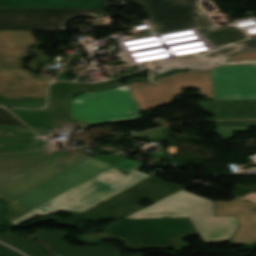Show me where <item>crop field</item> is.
<instances>
[{
    "label": "crop field",
    "mask_w": 256,
    "mask_h": 256,
    "mask_svg": "<svg viewBox=\"0 0 256 256\" xmlns=\"http://www.w3.org/2000/svg\"><path fill=\"white\" fill-rule=\"evenodd\" d=\"M241 51L242 48L236 44L202 57L169 62V70L204 69L162 77L154 84L134 82L128 85V90L140 111L172 101L173 97L181 94L182 87H199L201 94L215 100L256 99V62L219 63L221 59ZM166 71L152 74L151 77Z\"/></svg>",
    "instance_id": "crop-field-1"
},
{
    "label": "crop field",
    "mask_w": 256,
    "mask_h": 256,
    "mask_svg": "<svg viewBox=\"0 0 256 256\" xmlns=\"http://www.w3.org/2000/svg\"><path fill=\"white\" fill-rule=\"evenodd\" d=\"M90 157L60 148L0 154V195L18 197Z\"/></svg>",
    "instance_id": "crop-field-2"
},
{
    "label": "crop field",
    "mask_w": 256,
    "mask_h": 256,
    "mask_svg": "<svg viewBox=\"0 0 256 256\" xmlns=\"http://www.w3.org/2000/svg\"><path fill=\"white\" fill-rule=\"evenodd\" d=\"M141 165L143 164L126 158L9 223L18 225L35 215L51 214L58 210L77 211L81 213L150 177L135 170ZM115 167H119L129 174L124 176Z\"/></svg>",
    "instance_id": "crop-field-3"
},
{
    "label": "crop field",
    "mask_w": 256,
    "mask_h": 256,
    "mask_svg": "<svg viewBox=\"0 0 256 256\" xmlns=\"http://www.w3.org/2000/svg\"><path fill=\"white\" fill-rule=\"evenodd\" d=\"M189 217L203 244L230 240L239 227L236 216L214 217L213 202L184 190L124 219Z\"/></svg>",
    "instance_id": "crop-field-4"
},
{
    "label": "crop field",
    "mask_w": 256,
    "mask_h": 256,
    "mask_svg": "<svg viewBox=\"0 0 256 256\" xmlns=\"http://www.w3.org/2000/svg\"><path fill=\"white\" fill-rule=\"evenodd\" d=\"M34 44L36 41L30 31H0L1 97H46L50 78L37 76L35 79L22 67V59Z\"/></svg>",
    "instance_id": "crop-field-5"
},
{
    "label": "crop field",
    "mask_w": 256,
    "mask_h": 256,
    "mask_svg": "<svg viewBox=\"0 0 256 256\" xmlns=\"http://www.w3.org/2000/svg\"><path fill=\"white\" fill-rule=\"evenodd\" d=\"M106 228L131 248L182 246L178 238L196 233L189 218L119 220Z\"/></svg>",
    "instance_id": "crop-field-6"
},
{
    "label": "crop field",
    "mask_w": 256,
    "mask_h": 256,
    "mask_svg": "<svg viewBox=\"0 0 256 256\" xmlns=\"http://www.w3.org/2000/svg\"><path fill=\"white\" fill-rule=\"evenodd\" d=\"M71 117L96 125L130 120L140 115L128 90L110 89L72 99Z\"/></svg>",
    "instance_id": "crop-field-7"
},
{
    "label": "crop field",
    "mask_w": 256,
    "mask_h": 256,
    "mask_svg": "<svg viewBox=\"0 0 256 256\" xmlns=\"http://www.w3.org/2000/svg\"><path fill=\"white\" fill-rule=\"evenodd\" d=\"M183 188L173 184L165 183L152 176L125 191L113 196L101 204L83 212L72 220L81 216L89 220L105 218H123L141 208L138 201L147 198L153 202L175 193Z\"/></svg>",
    "instance_id": "crop-field-8"
},
{
    "label": "crop field",
    "mask_w": 256,
    "mask_h": 256,
    "mask_svg": "<svg viewBox=\"0 0 256 256\" xmlns=\"http://www.w3.org/2000/svg\"><path fill=\"white\" fill-rule=\"evenodd\" d=\"M108 167V165L89 159L42 186L16 198L14 201H10L11 203L7 204L10 210V220L54 198Z\"/></svg>",
    "instance_id": "crop-field-9"
},
{
    "label": "crop field",
    "mask_w": 256,
    "mask_h": 256,
    "mask_svg": "<svg viewBox=\"0 0 256 256\" xmlns=\"http://www.w3.org/2000/svg\"><path fill=\"white\" fill-rule=\"evenodd\" d=\"M146 9L154 33L207 25L198 0H129Z\"/></svg>",
    "instance_id": "crop-field-10"
},
{
    "label": "crop field",
    "mask_w": 256,
    "mask_h": 256,
    "mask_svg": "<svg viewBox=\"0 0 256 256\" xmlns=\"http://www.w3.org/2000/svg\"><path fill=\"white\" fill-rule=\"evenodd\" d=\"M101 9H3L0 30H64L75 16H99Z\"/></svg>",
    "instance_id": "crop-field-11"
},
{
    "label": "crop field",
    "mask_w": 256,
    "mask_h": 256,
    "mask_svg": "<svg viewBox=\"0 0 256 256\" xmlns=\"http://www.w3.org/2000/svg\"><path fill=\"white\" fill-rule=\"evenodd\" d=\"M215 216L237 215L240 227L229 245L256 243V205L236 198L232 202H214Z\"/></svg>",
    "instance_id": "crop-field-12"
},
{
    "label": "crop field",
    "mask_w": 256,
    "mask_h": 256,
    "mask_svg": "<svg viewBox=\"0 0 256 256\" xmlns=\"http://www.w3.org/2000/svg\"><path fill=\"white\" fill-rule=\"evenodd\" d=\"M30 127L42 129L71 128L70 99H49L46 110H15L11 109Z\"/></svg>",
    "instance_id": "crop-field-13"
},
{
    "label": "crop field",
    "mask_w": 256,
    "mask_h": 256,
    "mask_svg": "<svg viewBox=\"0 0 256 256\" xmlns=\"http://www.w3.org/2000/svg\"><path fill=\"white\" fill-rule=\"evenodd\" d=\"M40 230V229H39ZM38 231V230H37ZM69 233L58 230H40L36 232L37 238L49 247L56 254L67 256H120L117 249L105 245L91 247H72L65 243L64 239Z\"/></svg>",
    "instance_id": "crop-field-14"
},
{
    "label": "crop field",
    "mask_w": 256,
    "mask_h": 256,
    "mask_svg": "<svg viewBox=\"0 0 256 256\" xmlns=\"http://www.w3.org/2000/svg\"><path fill=\"white\" fill-rule=\"evenodd\" d=\"M50 147L54 146L37 138L29 128L0 125V153Z\"/></svg>",
    "instance_id": "crop-field-15"
},
{
    "label": "crop field",
    "mask_w": 256,
    "mask_h": 256,
    "mask_svg": "<svg viewBox=\"0 0 256 256\" xmlns=\"http://www.w3.org/2000/svg\"><path fill=\"white\" fill-rule=\"evenodd\" d=\"M214 119L256 118V100L250 101H197Z\"/></svg>",
    "instance_id": "crop-field-16"
},
{
    "label": "crop field",
    "mask_w": 256,
    "mask_h": 256,
    "mask_svg": "<svg viewBox=\"0 0 256 256\" xmlns=\"http://www.w3.org/2000/svg\"><path fill=\"white\" fill-rule=\"evenodd\" d=\"M105 0H0L4 8H103Z\"/></svg>",
    "instance_id": "crop-field-17"
},
{
    "label": "crop field",
    "mask_w": 256,
    "mask_h": 256,
    "mask_svg": "<svg viewBox=\"0 0 256 256\" xmlns=\"http://www.w3.org/2000/svg\"><path fill=\"white\" fill-rule=\"evenodd\" d=\"M199 30L203 33L204 38H207L214 46L245 39L241 31L230 27L218 29L207 27Z\"/></svg>",
    "instance_id": "crop-field-18"
},
{
    "label": "crop field",
    "mask_w": 256,
    "mask_h": 256,
    "mask_svg": "<svg viewBox=\"0 0 256 256\" xmlns=\"http://www.w3.org/2000/svg\"><path fill=\"white\" fill-rule=\"evenodd\" d=\"M0 240L22 250L29 256H50L48 251L41 244L30 239L18 236H9L0 232Z\"/></svg>",
    "instance_id": "crop-field-19"
},
{
    "label": "crop field",
    "mask_w": 256,
    "mask_h": 256,
    "mask_svg": "<svg viewBox=\"0 0 256 256\" xmlns=\"http://www.w3.org/2000/svg\"><path fill=\"white\" fill-rule=\"evenodd\" d=\"M218 133L222 139H232L234 131L248 130L249 126H256V120H242V121H216Z\"/></svg>",
    "instance_id": "crop-field-20"
},
{
    "label": "crop field",
    "mask_w": 256,
    "mask_h": 256,
    "mask_svg": "<svg viewBox=\"0 0 256 256\" xmlns=\"http://www.w3.org/2000/svg\"><path fill=\"white\" fill-rule=\"evenodd\" d=\"M0 105L5 107H17V108H41L45 106V99L36 100H15L8 102L5 99H0Z\"/></svg>",
    "instance_id": "crop-field-21"
},
{
    "label": "crop field",
    "mask_w": 256,
    "mask_h": 256,
    "mask_svg": "<svg viewBox=\"0 0 256 256\" xmlns=\"http://www.w3.org/2000/svg\"><path fill=\"white\" fill-rule=\"evenodd\" d=\"M194 236V235H192ZM192 236H188V237H184V238H190ZM103 239H116V238H111L107 232L104 233H97V234H90V235H80L79 240L81 241H85V242H92L93 240H103ZM183 239V238H180ZM122 240V239H121ZM181 241V240H180ZM182 242V241H181ZM124 245L129 248L124 240H123ZM183 247H170V249H172L173 251H175L176 253L189 247L187 244H185L184 242H182ZM130 249V248H129ZM144 249H156V248H144ZM130 250H142V249H130Z\"/></svg>",
    "instance_id": "crop-field-22"
},
{
    "label": "crop field",
    "mask_w": 256,
    "mask_h": 256,
    "mask_svg": "<svg viewBox=\"0 0 256 256\" xmlns=\"http://www.w3.org/2000/svg\"><path fill=\"white\" fill-rule=\"evenodd\" d=\"M115 85H119V83L114 80L108 81L105 83H101V84H93V85L71 83V92H81V91H83V89H86L87 91H92V90H96V89L112 87Z\"/></svg>",
    "instance_id": "crop-field-23"
},
{
    "label": "crop field",
    "mask_w": 256,
    "mask_h": 256,
    "mask_svg": "<svg viewBox=\"0 0 256 256\" xmlns=\"http://www.w3.org/2000/svg\"><path fill=\"white\" fill-rule=\"evenodd\" d=\"M69 93H70L69 83H56L50 86V91H49L50 97H58L59 95H66Z\"/></svg>",
    "instance_id": "crop-field-24"
},
{
    "label": "crop field",
    "mask_w": 256,
    "mask_h": 256,
    "mask_svg": "<svg viewBox=\"0 0 256 256\" xmlns=\"http://www.w3.org/2000/svg\"><path fill=\"white\" fill-rule=\"evenodd\" d=\"M0 124L24 126L19 120H17L13 115L0 107Z\"/></svg>",
    "instance_id": "crop-field-25"
},
{
    "label": "crop field",
    "mask_w": 256,
    "mask_h": 256,
    "mask_svg": "<svg viewBox=\"0 0 256 256\" xmlns=\"http://www.w3.org/2000/svg\"><path fill=\"white\" fill-rule=\"evenodd\" d=\"M226 59H239V60L247 59L249 61H256V50L241 52L239 54L233 55Z\"/></svg>",
    "instance_id": "crop-field-26"
},
{
    "label": "crop field",
    "mask_w": 256,
    "mask_h": 256,
    "mask_svg": "<svg viewBox=\"0 0 256 256\" xmlns=\"http://www.w3.org/2000/svg\"><path fill=\"white\" fill-rule=\"evenodd\" d=\"M169 130H171V128L169 126H166V127H163V128H159L157 130H153V131L138 134L134 137H136L137 139H141L143 137H148V136L155 135V134L162 133V132H166V131H169Z\"/></svg>",
    "instance_id": "crop-field-27"
},
{
    "label": "crop field",
    "mask_w": 256,
    "mask_h": 256,
    "mask_svg": "<svg viewBox=\"0 0 256 256\" xmlns=\"http://www.w3.org/2000/svg\"><path fill=\"white\" fill-rule=\"evenodd\" d=\"M239 46L245 49H256V40H248L245 42L239 43Z\"/></svg>",
    "instance_id": "crop-field-28"
},
{
    "label": "crop field",
    "mask_w": 256,
    "mask_h": 256,
    "mask_svg": "<svg viewBox=\"0 0 256 256\" xmlns=\"http://www.w3.org/2000/svg\"><path fill=\"white\" fill-rule=\"evenodd\" d=\"M243 198L256 203V194H249V195H247V196H245Z\"/></svg>",
    "instance_id": "crop-field-29"
},
{
    "label": "crop field",
    "mask_w": 256,
    "mask_h": 256,
    "mask_svg": "<svg viewBox=\"0 0 256 256\" xmlns=\"http://www.w3.org/2000/svg\"><path fill=\"white\" fill-rule=\"evenodd\" d=\"M0 256H22V255L18 253L0 252Z\"/></svg>",
    "instance_id": "crop-field-30"
},
{
    "label": "crop field",
    "mask_w": 256,
    "mask_h": 256,
    "mask_svg": "<svg viewBox=\"0 0 256 256\" xmlns=\"http://www.w3.org/2000/svg\"><path fill=\"white\" fill-rule=\"evenodd\" d=\"M0 251H10V252H15V251H13V250H11V249H8V248H6V247H3V246H1V245H0Z\"/></svg>",
    "instance_id": "crop-field-31"
},
{
    "label": "crop field",
    "mask_w": 256,
    "mask_h": 256,
    "mask_svg": "<svg viewBox=\"0 0 256 256\" xmlns=\"http://www.w3.org/2000/svg\"><path fill=\"white\" fill-rule=\"evenodd\" d=\"M221 62H239V61H227V60H221Z\"/></svg>",
    "instance_id": "crop-field-32"
},
{
    "label": "crop field",
    "mask_w": 256,
    "mask_h": 256,
    "mask_svg": "<svg viewBox=\"0 0 256 256\" xmlns=\"http://www.w3.org/2000/svg\"><path fill=\"white\" fill-rule=\"evenodd\" d=\"M207 26H209V25H207ZM207 26H202V27H207ZM197 28H200V27H197Z\"/></svg>",
    "instance_id": "crop-field-33"
},
{
    "label": "crop field",
    "mask_w": 256,
    "mask_h": 256,
    "mask_svg": "<svg viewBox=\"0 0 256 256\" xmlns=\"http://www.w3.org/2000/svg\"><path fill=\"white\" fill-rule=\"evenodd\" d=\"M33 129V128H32ZM34 130V129H33ZM35 131V130H34ZM39 134V133H38ZM40 135V134H39Z\"/></svg>",
    "instance_id": "crop-field-34"
}]
</instances>
